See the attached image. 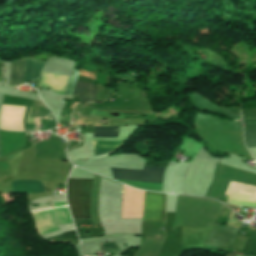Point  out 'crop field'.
I'll return each instance as SVG.
<instances>
[{"label": "crop field", "mask_w": 256, "mask_h": 256, "mask_svg": "<svg viewBox=\"0 0 256 256\" xmlns=\"http://www.w3.org/2000/svg\"><path fill=\"white\" fill-rule=\"evenodd\" d=\"M238 230L229 226H213L204 245L230 248Z\"/></svg>", "instance_id": "obj_6"}, {"label": "crop field", "mask_w": 256, "mask_h": 256, "mask_svg": "<svg viewBox=\"0 0 256 256\" xmlns=\"http://www.w3.org/2000/svg\"><path fill=\"white\" fill-rule=\"evenodd\" d=\"M233 213H234V212H233ZM233 213H232V215H233ZM232 215H231V216H232ZM230 218H231V217H230Z\"/></svg>", "instance_id": "obj_20"}, {"label": "crop field", "mask_w": 256, "mask_h": 256, "mask_svg": "<svg viewBox=\"0 0 256 256\" xmlns=\"http://www.w3.org/2000/svg\"><path fill=\"white\" fill-rule=\"evenodd\" d=\"M68 79V76L42 72L41 87L50 88L55 93L63 95Z\"/></svg>", "instance_id": "obj_9"}, {"label": "crop field", "mask_w": 256, "mask_h": 256, "mask_svg": "<svg viewBox=\"0 0 256 256\" xmlns=\"http://www.w3.org/2000/svg\"><path fill=\"white\" fill-rule=\"evenodd\" d=\"M40 121H44V128H40ZM25 126L26 130H31V127L38 128V130H48L55 128V121L25 117ZM32 130L37 129L32 128Z\"/></svg>", "instance_id": "obj_12"}, {"label": "crop field", "mask_w": 256, "mask_h": 256, "mask_svg": "<svg viewBox=\"0 0 256 256\" xmlns=\"http://www.w3.org/2000/svg\"><path fill=\"white\" fill-rule=\"evenodd\" d=\"M194 121L198 123L214 126L217 128H221L224 130L242 131L241 123L229 122V121L217 119L205 114L197 113Z\"/></svg>", "instance_id": "obj_8"}, {"label": "crop field", "mask_w": 256, "mask_h": 256, "mask_svg": "<svg viewBox=\"0 0 256 256\" xmlns=\"http://www.w3.org/2000/svg\"><path fill=\"white\" fill-rule=\"evenodd\" d=\"M93 179H68L67 198L73 218L90 219Z\"/></svg>", "instance_id": "obj_1"}, {"label": "crop field", "mask_w": 256, "mask_h": 256, "mask_svg": "<svg viewBox=\"0 0 256 256\" xmlns=\"http://www.w3.org/2000/svg\"><path fill=\"white\" fill-rule=\"evenodd\" d=\"M13 193H37L45 191L40 181L15 180L11 182Z\"/></svg>", "instance_id": "obj_10"}, {"label": "crop field", "mask_w": 256, "mask_h": 256, "mask_svg": "<svg viewBox=\"0 0 256 256\" xmlns=\"http://www.w3.org/2000/svg\"><path fill=\"white\" fill-rule=\"evenodd\" d=\"M142 221H164V194L145 191Z\"/></svg>", "instance_id": "obj_4"}, {"label": "crop field", "mask_w": 256, "mask_h": 256, "mask_svg": "<svg viewBox=\"0 0 256 256\" xmlns=\"http://www.w3.org/2000/svg\"><path fill=\"white\" fill-rule=\"evenodd\" d=\"M25 107L3 105L0 127L6 130H24L22 119Z\"/></svg>", "instance_id": "obj_7"}, {"label": "crop field", "mask_w": 256, "mask_h": 256, "mask_svg": "<svg viewBox=\"0 0 256 256\" xmlns=\"http://www.w3.org/2000/svg\"><path fill=\"white\" fill-rule=\"evenodd\" d=\"M0 157H1V144H0Z\"/></svg>", "instance_id": "obj_18"}, {"label": "crop field", "mask_w": 256, "mask_h": 256, "mask_svg": "<svg viewBox=\"0 0 256 256\" xmlns=\"http://www.w3.org/2000/svg\"><path fill=\"white\" fill-rule=\"evenodd\" d=\"M81 82H76L73 95L78 97L82 101L95 102L96 87Z\"/></svg>", "instance_id": "obj_11"}, {"label": "crop field", "mask_w": 256, "mask_h": 256, "mask_svg": "<svg viewBox=\"0 0 256 256\" xmlns=\"http://www.w3.org/2000/svg\"><path fill=\"white\" fill-rule=\"evenodd\" d=\"M120 182H123L125 184H128L130 186H133L139 189L162 192V184H144V183H135V182H127V181H120Z\"/></svg>", "instance_id": "obj_15"}, {"label": "crop field", "mask_w": 256, "mask_h": 256, "mask_svg": "<svg viewBox=\"0 0 256 256\" xmlns=\"http://www.w3.org/2000/svg\"><path fill=\"white\" fill-rule=\"evenodd\" d=\"M93 137H117L118 127H93Z\"/></svg>", "instance_id": "obj_14"}, {"label": "crop field", "mask_w": 256, "mask_h": 256, "mask_svg": "<svg viewBox=\"0 0 256 256\" xmlns=\"http://www.w3.org/2000/svg\"><path fill=\"white\" fill-rule=\"evenodd\" d=\"M78 73L79 72H76V71L73 72L71 78L68 81V84H67L66 91H65L64 95H72V91L74 89Z\"/></svg>", "instance_id": "obj_16"}, {"label": "crop field", "mask_w": 256, "mask_h": 256, "mask_svg": "<svg viewBox=\"0 0 256 256\" xmlns=\"http://www.w3.org/2000/svg\"><path fill=\"white\" fill-rule=\"evenodd\" d=\"M101 249L105 248H115L117 247L116 243H107V244H100Z\"/></svg>", "instance_id": "obj_17"}, {"label": "crop field", "mask_w": 256, "mask_h": 256, "mask_svg": "<svg viewBox=\"0 0 256 256\" xmlns=\"http://www.w3.org/2000/svg\"><path fill=\"white\" fill-rule=\"evenodd\" d=\"M247 131H244L246 147L256 146V122L246 123Z\"/></svg>", "instance_id": "obj_13"}, {"label": "crop field", "mask_w": 256, "mask_h": 256, "mask_svg": "<svg viewBox=\"0 0 256 256\" xmlns=\"http://www.w3.org/2000/svg\"><path fill=\"white\" fill-rule=\"evenodd\" d=\"M143 195V191L124 186L122 218L141 217Z\"/></svg>", "instance_id": "obj_5"}, {"label": "crop field", "mask_w": 256, "mask_h": 256, "mask_svg": "<svg viewBox=\"0 0 256 256\" xmlns=\"http://www.w3.org/2000/svg\"><path fill=\"white\" fill-rule=\"evenodd\" d=\"M44 62L33 59H21L11 62L10 66V85H20L34 78L39 77Z\"/></svg>", "instance_id": "obj_2"}, {"label": "crop field", "mask_w": 256, "mask_h": 256, "mask_svg": "<svg viewBox=\"0 0 256 256\" xmlns=\"http://www.w3.org/2000/svg\"><path fill=\"white\" fill-rule=\"evenodd\" d=\"M0 74H1V70H0Z\"/></svg>", "instance_id": "obj_21"}, {"label": "crop field", "mask_w": 256, "mask_h": 256, "mask_svg": "<svg viewBox=\"0 0 256 256\" xmlns=\"http://www.w3.org/2000/svg\"><path fill=\"white\" fill-rule=\"evenodd\" d=\"M110 169L114 179L148 183H162L166 168L144 167L143 170Z\"/></svg>", "instance_id": "obj_3"}, {"label": "crop field", "mask_w": 256, "mask_h": 256, "mask_svg": "<svg viewBox=\"0 0 256 256\" xmlns=\"http://www.w3.org/2000/svg\"><path fill=\"white\" fill-rule=\"evenodd\" d=\"M248 256H253V255H248Z\"/></svg>", "instance_id": "obj_19"}]
</instances>
